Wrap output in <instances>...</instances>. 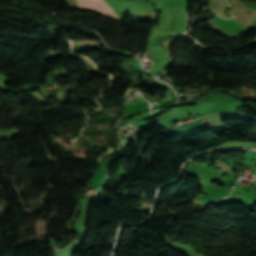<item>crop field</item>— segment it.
<instances>
[{
	"label": "crop field",
	"mask_w": 256,
	"mask_h": 256,
	"mask_svg": "<svg viewBox=\"0 0 256 256\" xmlns=\"http://www.w3.org/2000/svg\"><path fill=\"white\" fill-rule=\"evenodd\" d=\"M81 9H88L96 11L100 14L109 16L115 20H118V17L114 14L112 9L103 1V0H79ZM78 4V1H77ZM79 8V4H78ZM80 9V8H79Z\"/></svg>",
	"instance_id": "crop-field-1"
}]
</instances>
